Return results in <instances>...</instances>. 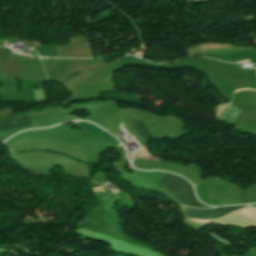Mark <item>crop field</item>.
Segmentation results:
<instances>
[{
    "instance_id": "crop-field-2",
    "label": "crop field",
    "mask_w": 256,
    "mask_h": 256,
    "mask_svg": "<svg viewBox=\"0 0 256 256\" xmlns=\"http://www.w3.org/2000/svg\"><path fill=\"white\" fill-rule=\"evenodd\" d=\"M247 206L216 208L212 210H193L184 207V212L190 220H215L221 216L240 210ZM197 223H209L211 221H195Z\"/></svg>"
},
{
    "instance_id": "crop-field-5",
    "label": "crop field",
    "mask_w": 256,
    "mask_h": 256,
    "mask_svg": "<svg viewBox=\"0 0 256 256\" xmlns=\"http://www.w3.org/2000/svg\"><path fill=\"white\" fill-rule=\"evenodd\" d=\"M26 126L22 116L4 120L0 122V132L7 131L10 129Z\"/></svg>"
},
{
    "instance_id": "crop-field-6",
    "label": "crop field",
    "mask_w": 256,
    "mask_h": 256,
    "mask_svg": "<svg viewBox=\"0 0 256 256\" xmlns=\"http://www.w3.org/2000/svg\"><path fill=\"white\" fill-rule=\"evenodd\" d=\"M133 129L136 131V133L144 140L148 141L149 139V132L145 128V126L142 124V122H134L130 121Z\"/></svg>"
},
{
    "instance_id": "crop-field-1",
    "label": "crop field",
    "mask_w": 256,
    "mask_h": 256,
    "mask_svg": "<svg viewBox=\"0 0 256 256\" xmlns=\"http://www.w3.org/2000/svg\"><path fill=\"white\" fill-rule=\"evenodd\" d=\"M157 187L166 191L180 204H184L194 208H209L198 202L194 196L192 186L184 179L166 173Z\"/></svg>"
},
{
    "instance_id": "crop-field-3",
    "label": "crop field",
    "mask_w": 256,
    "mask_h": 256,
    "mask_svg": "<svg viewBox=\"0 0 256 256\" xmlns=\"http://www.w3.org/2000/svg\"><path fill=\"white\" fill-rule=\"evenodd\" d=\"M224 107V106H222ZM219 107L217 109V112L222 108ZM242 111L239 110L235 105H233L232 103L229 104L227 107L221 109L218 113H217V117L215 119V121H220V122H227V123H232L234 124L238 115L241 113Z\"/></svg>"
},
{
    "instance_id": "crop-field-7",
    "label": "crop field",
    "mask_w": 256,
    "mask_h": 256,
    "mask_svg": "<svg viewBox=\"0 0 256 256\" xmlns=\"http://www.w3.org/2000/svg\"><path fill=\"white\" fill-rule=\"evenodd\" d=\"M239 63H249V61H248V60H246V61H242V62H239Z\"/></svg>"
},
{
    "instance_id": "crop-field-4",
    "label": "crop field",
    "mask_w": 256,
    "mask_h": 256,
    "mask_svg": "<svg viewBox=\"0 0 256 256\" xmlns=\"http://www.w3.org/2000/svg\"><path fill=\"white\" fill-rule=\"evenodd\" d=\"M76 125L99 136L100 138H102L103 140L107 141L110 144L113 143L114 141H116L114 138H112L106 132H104L103 130H101L100 128H98L92 124L80 122V123H77Z\"/></svg>"
}]
</instances>
